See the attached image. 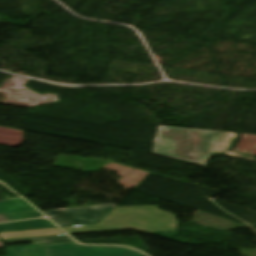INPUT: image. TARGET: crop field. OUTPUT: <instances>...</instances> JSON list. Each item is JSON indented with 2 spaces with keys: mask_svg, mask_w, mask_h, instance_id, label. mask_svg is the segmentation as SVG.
<instances>
[{
  "mask_svg": "<svg viewBox=\"0 0 256 256\" xmlns=\"http://www.w3.org/2000/svg\"><path fill=\"white\" fill-rule=\"evenodd\" d=\"M234 138L227 132L161 126L153 152L204 166L212 153L229 154Z\"/></svg>",
  "mask_w": 256,
  "mask_h": 256,
  "instance_id": "8a807250",
  "label": "crop field"
},
{
  "mask_svg": "<svg viewBox=\"0 0 256 256\" xmlns=\"http://www.w3.org/2000/svg\"><path fill=\"white\" fill-rule=\"evenodd\" d=\"M7 219L3 214H0V221H7Z\"/></svg>",
  "mask_w": 256,
  "mask_h": 256,
  "instance_id": "d1516ede",
  "label": "crop field"
},
{
  "mask_svg": "<svg viewBox=\"0 0 256 256\" xmlns=\"http://www.w3.org/2000/svg\"><path fill=\"white\" fill-rule=\"evenodd\" d=\"M24 241H32L33 245H39V244H47V243H55V242H67V241H73V240L70 239L68 236H59V237H47V238L9 240V241H3V243L24 242Z\"/></svg>",
  "mask_w": 256,
  "mask_h": 256,
  "instance_id": "5a996713",
  "label": "crop field"
},
{
  "mask_svg": "<svg viewBox=\"0 0 256 256\" xmlns=\"http://www.w3.org/2000/svg\"><path fill=\"white\" fill-rule=\"evenodd\" d=\"M47 256H144L124 247L79 246L74 242L46 245Z\"/></svg>",
  "mask_w": 256,
  "mask_h": 256,
  "instance_id": "34b2d1b8",
  "label": "crop field"
},
{
  "mask_svg": "<svg viewBox=\"0 0 256 256\" xmlns=\"http://www.w3.org/2000/svg\"><path fill=\"white\" fill-rule=\"evenodd\" d=\"M24 141L23 131L0 127V145L16 147Z\"/></svg>",
  "mask_w": 256,
  "mask_h": 256,
  "instance_id": "dd49c442",
  "label": "crop field"
},
{
  "mask_svg": "<svg viewBox=\"0 0 256 256\" xmlns=\"http://www.w3.org/2000/svg\"><path fill=\"white\" fill-rule=\"evenodd\" d=\"M174 215L160 211L157 206L115 208L98 224L65 227L70 234L135 229L146 233L176 231Z\"/></svg>",
  "mask_w": 256,
  "mask_h": 256,
  "instance_id": "ac0d7876",
  "label": "crop field"
},
{
  "mask_svg": "<svg viewBox=\"0 0 256 256\" xmlns=\"http://www.w3.org/2000/svg\"><path fill=\"white\" fill-rule=\"evenodd\" d=\"M55 227L46 219L0 224V232Z\"/></svg>",
  "mask_w": 256,
  "mask_h": 256,
  "instance_id": "f4fd0767",
  "label": "crop field"
},
{
  "mask_svg": "<svg viewBox=\"0 0 256 256\" xmlns=\"http://www.w3.org/2000/svg\"><path fill=\"white\" fill-rule=\"evenodd\" d=\"M256 136H249V135H243L239 145L234 150L238 153L246 154V155H252L253 151L256 149V143L251 148ZM251 148V150H250ZM250 150V152H249ZM249 152V153H248ZM256 154V152H255Z\"/></svg>",
  "mask_w": 256,
  "mask_h": 256,
  "instance_id": "3316defc",
  "label": "crop field"
},
{
  "mask_svg": "<svg viewBox=\"0 0 256 256\" xmlns=\"http://www.w3.org/2000/svg\"><path fill=\"white\" fill-rule=\"evenodd\" d=\"M0 247H4V245L1 243V241H0Z\"/></svg>",
  "mask_w": 256,
  "mask_h": 256,
  "instance_id": "22f410ed",
  "label": "crop field"
},
{
  "mask_svg": "<svg viewBox=\"0 0 256 256\" xmlns=\"http://www.w3.org/2000/svg\"><path fill=\"white\" fill-rule=\"evenodd\" d=\"M10 220H18V219H25V218H32V217H39L42 216L39 213H14V214H4Z\"/></svg>",
  "mask_w": 256,
  "mask_h": 256,
  "instance_id": "28ad6ade",
  "label": "crop field"
},
{
  "mask_svg": "<svg viewBox=\"0 0 256 256\" xmlns=\"http://www.w3.org/2000/svg\"><path fill=\"white\" fill-rule=\"evenodd\" d=\"M8 256H46L45 245L7 248Z\"/></svg>",
  "mask_w": 256,
  "mask_h": 256,
  "instance_id": "d8731c3e",
  "label": "crop field"
},
{
  "mask_svg": "<svg viewBox=\"0 0 256 256\" xmlns=\"http://www.w3.org/2000/svg\"><path fill=\"white\" fill-rule=\"evenodd\" d=\"M116 206H101L44 212L60 227L99 222Z\"/></svg>",
  "mask_w": 256,
  "mask_h": 256,
  "instance_id": "412701ff",
  "label": "crop field"
},
{
  "mask_svg": "<svg viewBox=\"0 0 256 256\" xmlns=\"http://www.w3.org/2000/svg\"><path fill=\"white\" fill-rule=\"evenodd\" d=\"M37 212L22 198L0 202V213Z\"/></svg>",
  "mask_w": 256,
  "mask_h": 256,
  "instance_id": "e52e79f7",
  "label": "crop field"
}]
</instances>
